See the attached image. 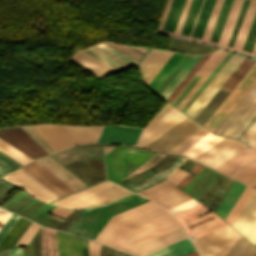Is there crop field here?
<instances>
[{
  "instance_id": "8a807250",
  "label": "crop field",
  "mask_w": 256,
  "mask_h": 256,
  "mask_svg": "<svg viewBox=\"0 0 256 256\" xmlns=\"http://www.w3.org/2000/svg\"><path fill=\"white\" fill-rule=\"evenodd\" d=\"M158 32L256 52V0H168Z\"/></svg>"
},
{
  "instance_id": "ac0d7876",
  "label": "crop field",
  "mask_w": 256,
  "mask_h": 256,
  "mask_svg": "<svg viewBox=\"0 0 256 256\" xmlns=\"http://www.w3.org/2000/svg\"><path fill=\"white\" fill-rule=\"evenodd\" d=\"M147 201L134 194L108 206L84 209L68 232L94 239L111 216Z\"/></svg>"
},
{
  "instance_id": "34b2d1b8",
  "label": "crop field",
  "mask_w": 256,
  "mask_h": 256,
  "mask_svg": "<svg viewBox=\"0 0 256 256\" xmlns=\"http://www.w3.org/2000/svg\"><path fill=\"white\" fill-rule=\"evenodd\" d=\"M54 152L74 144L96 142L104 126L34 125Z\"/></svg>"
},
{
  "instance_id": "412701ff",
  "label": "crop field",
  "mask_w": 256,
  "mask_h": 256,
  "mask_svg": "<svg viewBox=\"0 0 256 256\" xmlns=\"http://www.w3.org/2000/svg\"><path fill=\"white\" fill-rule=\"evenodd\" d=\"M130 193H132V191L110 180H105L96 185L54 201L52 204L75 209L107 204Z\"/></svg>"
},
{
  "instance_id": "f4fd0767",
  "label": "crop field",
  "mask_w": 256,
  "mask_h": 256,
  "mask_svg": "<svg viewBox=\"0 0 256 256\" xmlns=\"http://www.w3.org/2000/svg\"><path fill=\"white\" fill-rule=\"evenodd\" d=\"M181 225L169 214H165L139 226L120 233L112 247L123 250Z\"/></svg>"
},
{
  "instance_id": "dd49c442",
  "label": "crop field",
  "mask_w": 256,
  "mask_h": 256,
  "mask_svg": "<svg viewBox=\"0 0 256 256\" xmlns=\"http://www.w3.org/2000/svg\"><path fill=\"white\" fill-rule=\"evenodd\" d=\"M153 154L155 153L115 146L105 154L108 178L115 182L123 179Z\"/></svg>"
},
{
  "instance_id": "e52e79f7",
  "label": "crop field",
  "mask_w": 256,
  "mask_h": 256,
  "mask_svg": "<svg viewBox=\"0 0 256 256\" xmlns=\"http://www.w3.org/2000/svg\"><path fill=\"white\" fill-rule=\"evenodd\" d=\"M208 211L210 210L199 204L193 208H190L184 212L175 215V217L184 225L190 238L194 237L195 239L209 231H212L226 224V222L219 218L215 213H213L212 211Z\"/></svg>"
},
{
  "instance_id": "d8731c3e",
  "label": "crop field",
  "mask_w": 256,
  "mask_h": 256,
  "mask_svg": "<svg viewBox=\"0 0 256 256\" xmlns=\"http://www.w3.org/2000/svg\"><path fill=\"white\" fill-rule=\"evenodd\" d=\"M239 235L238 232L226 224L193 240V243L201 256H224Z\"/></svg>"
},
{
  "instance_id": "5a996713",
  "label": "crop field",
  "mask_w": 256,
  "mask_h": 256,
  "mask_svg": "<svg viewBox=\"0 0 256 256\" xmlns=\"http://www.w3.org/2000/svg\"><path fill=\"white\" fill-rule=\"evenodd\" d=\"M185 117L187 116L166 103L145 127L136 145L147 146Z\"/></svg>"
},
{
  "instance_id": "3316defc",
  "label": "crop field",
  "mask_w": 256,
  "mask_h": 256,
  "mask_svg": "<svg viewBox=\"0 0 256 256\" xmlns=\"http://www.w3.org/2000/svg\"><path fill=\"white\" fill-rule=\"evenodd\" d=\"M255 81L256 62L204 126L214 132L225 117L230 113V111L235 107V105L240 101V99L245 95V93L250 89V87L255 83Z\"/></svg>"
},
{
  "instance_id": "28ad6ade",
  "label": "crop field",
  "mask_w": 256,
  "mask_h": 256,
  "mask_svg": "<svg viewBox=\"0 0 256 256\" xmlns=\"http://www.w3.org/2000/svg\"><path fill=\"white\" fill-rule=\"evenodd\" d=\"M242 59L243 57L233 54L185 113L194 119Z\"/></svg>"
},
{
  "instance_id": "d1516ede",
  "label": "crop field",
  "mask_w": 256,
  "mask_h": 256,
  "mask_svg": "<svg viewBox=\"0 0 256 256\" xmlns=\"http://www.w3.org/2000/svg\"><path fill=\"white\" fill-rule=\"evenodd\" d=\"M222 138L203 127L169 152L185 154L194 159Z\"/></svg>"
},
{
  "instance_id": "22f410ed",
  "label": "crop field",
  "mask_w": 256,
  "mask_h": 256,
  "mask_svg": "<svg viewBox=\"0 0 256 256\" xmlns=\"http://www.w3.org/2000/svg\"><path fill=\"white\" fill-rule=\"evenodd\" d=\"M200 127L202 126L187 117L147 147L167 152Z\"/></svg>"
},
{
  "instance_id": "cbeb9de0",
  "label": "crop field",
  "mask_w": 256,
  "mask_h": 256,
  "mask_svg": "<svg viewBox=\"0 0 256 256\" xmlns=\"http://www.w3.org/2000/svg\"><path fill=\"white\" fill-rule=\"evenodd\" d=\"M0 138L33 159L48 155V153L20 127L0 129Z\"/></svg>"
},
{
  "instance_id": "5142ce71",
  "label": "crop field",
  "mask_w": 256,
  "mask_h": 256,
  "mask_svg": "<svg viewBox=\"0 0 256 256\" xmlns=\"http://www.w3.org/2000/svg\"><path fill=\"white\" fill-rule=\"evenodd\" d=\"M245 146L238 140L225 137L195 160L214 168Z\"/></svg>"
},
{
  "instance_id": "d9b57169",
  "label": "crop field",
  "mask_w": 256,
  "mask_h": 256,
  "mask_svg": "<svg viewBox=\"0 0 256 256\" xmlns=\"http://www.w3.org/2000/svg\"><path fill=\"white\" fill-rule=\"evenodd\" d=\"M2 179L23 188L31 196L45 202H50L58 199V197H56L53 193H51L48 189H46L43 185L37 182L21 168H18L17 170L2 177Z\"/></svg>"
},
{
  "instance_id": "733c2abd",
  "label": "crop field",
  "mask_w": 256,
  "mask_h": 256,
  "mask_svg": "<svg viewBox=\"0 0 256 256\" xmlns=\"http://www.w3.org/2000/svg\"><path fill=\"white\" fill-rule=\"evenodd\" d=\"M140 194L163 204L167 209L191 198L189 195L167 181H163L153 187H150L140 192Z\"/></svg>"
},
{
  "instance_id": "4a817a6b",
  "label": "crop field",
  "mask_w": 256,
  "mask_h": 256,
  "mask_svg": "<svg viewBox=\"0 0 256 256\" xmlns=\"http://www.w3.org/2000/svg\"><path fill=\"white\" fill-rule=\"evenodd\" d=\"M185 238H187V235L185 234L182 227H180L123 251L135 256H142Z\"/></svg>"
},
{
  "instance_id": "bc2a9ffb",
  "label": "crop field",
  "mask_w": 256,
  "mask_h": 256,
  "mask_svg": "<svg viewBox=\"0 0 256 256\" xmlns=\"http://www.w3.org/2000/svg\"><path fill=\"white\" fill-rule=\"evenodd\" d=\"M232 226L256 244V190H254Z\"/></svg>"
},
{
  "instance_id": "214f88e0",
  "label": "crop field",
  "mask_w": 256,
  "mask_h": 256,
  "mask_svg": "<svg viewBox=\"0 0 256 256\" xmlns=\"http://www.w3.org/2000/svg\"><path fill=\"white\" fill-rule=\"evenodd\" d=\"M21 168L24 169L27 173H29L32 177H34L37 181L43 184L59 198L73 192V190L67 187L64 183L54 177L51 173H49L35 161Z\"/></svg>"
},
{
  "instance_id": "92a150f3",
  "label": "crop field",
  "mask_w": 256,
  "mask_h": 256,
  "mask_svg": "<svg viewBox=\"0 0 256 256\" xmlns=\"http://www.w3.org/2000/svg\"><path fill=\"white\" fill-rule=\"evenodd\" d=\"M172 54V52L152 49L143 59V61L139 64V67L145 86L164 65V63L171 57Z\"/></svg>"
},
{
  "instance_id": "dafd665d",
  "label": "crop field",
  "mask_w": 256,
  "mask_h": 256,
  "mask_svg": "<svg viewBox=\"0 0 256 256\" xmlns=\"http://www.w3.org/2000/svg\"><path fill=\"white\" fill-rule=\"evenodd\" d=\"M158 207H160V205H158L152 201H149L140 206H137L135 208H132L130 210H127L125 212H122L118 215L111 217L110 220L107 222V224L103 227V229L96 236L95 240H97L99 242H103L104 239L107 237V235L111 232V230L114 228V226L116 224L123 222L125 220H128L130 218H133L135 216H138L140 214H143L145 212H148L150 210H153L155 208H158Z\"/></svg>"
},
{
  "instance_id": "00972430",
  "label": "crop field",
  "mask_w": 256,
  "mask_h": 256,
  "mask_svg": "<svg viewBox=\"0 0 256 256\" xmlns=\"http://www.w3.org/2000/svg\"><path fill=\"white\" fill-rule=\"evenodd\" d=\"M140 131L141 129L137 128L105 126L97 142H116L134 145Z\"/></svg>"
},
{
  "instance_id": "a9b5d70f",
  "label": "crop field",
  "mask_w": 256,
  "mask_h": 256,
  "mask_svg": "<svg viewBox=\"0 0 256 256\" xmlns=\"http://www.w3.org/2000/svg\"><path fill=\"white\" fill-rule=\"evenodd\" d=\"M35 161L42 165L53 175H55L58 179H60L74 191L87 187V185L81 182L78 178L68 172L65 168H63L49 156L36 159Z\"/></svg>"
},
{
  "instance_id": "4177f3b9",
  "label": "crop field",
  "mask_w": 256,
  "mask_h": 256,
  "mask_svg": "<svg viewBox=\"0 0 256 256\" xmlns=\"http://www.w3.org/2000/svg\"><path fill=\"white\" fill-rule=\"evenodd\" d=\"M255 97L256 83L251 87V89L246 93V95L241 99V101L236 105V107L231 111V113L226 117V119L221 123V125L216 129L214 133L225 135L226 132L245 111V109L255 99Z\"/></svg>"
},
{
  "instance_id": "730fd06b",
  "label": "crop field",
  "mask_w": 256,
  "mask_h": 256,
  "mask_svg": "<svg viewBox=\"0 0 256 256\" xmlns=\"http://www.w3.org/2000/svg\"><path fill=\"white\" fill-rule=\"evenodd\" d=\"M245 147L235 155H233L231 158L217 166L215 169L231 176L235 172H237L239 169H241L243 166L248 164L250 161H252L254 158H256V151L252 148L250 150Z\"/></svg>"
},
{
  "instance_id": "eef30255",
  "label": "crop field",
  "mask_w": 256,
  "mask_h": 256,
  "mask_svg": "<svg viewBox=\"0 0 256 256\" xmlns=\"http://www.w3.org/2000/svg\"><path fill=\"white\" fill-rule=\"evenodd\" d=\"M165 213H167V211L164 210L162 207H160L158 209H155L153 211H150L148 213H145L143 215H140L138 217H135L133 219L125 221L123 223H120L115 226V228L112 230V232L108 235V237L105 239V241L103 243L111 246V244L114 242V240L116 239V237L119 235L120 232H122L126 229H129L131 227H134L138 224H141L143 222H146L155 217H158Z\"/></svg>"
},
{
  "instance_id": "ae1a2a85",
  "label": "crop field",
  "mask_w": 256,
  "mask_h": 256,
  "mask_svg": "<svg viewBox=\"0 0 256 256\" xmlns=\"http://www.w3.org/2000/svg\"><path fill=\"white\" fill-rule=\"evenodd\" d=\"M70 61L86 67L91 72L99 76H105L117 72L116 70L112 69L111 67L107 66L106 64L100 62L99 60L93 58L92 56L79 49L74 53Z\"/></svg>"
},
{
  "instance_id": "d3111659",
  "label": "crop field",
  "mask_w": 256,
  "mask_h": 256,
  "mask_svg": "<svg viewBox=\"0 0 256 256\" xmlns=\"http://www.w3.org/2000/svg\"><path fill=\"white\" fill-rule=\"evenodd\" d=\"M58 231V230H57ZM57 245L59 256H72L71 252V235L57 232ZM72 251L73 256L82 255V237H78L72 234Z\"/></svg>"
},
{
  "instance_id": "750c4746",
  "label": "crop field",
  "mask_w": 256,
  "mask_h": 256,
  "mask_svg": "<svg viewBox=\"0 0 256 256\" xmlns=\"http://www.w3.org/2000/svg\"><path fill=\"white\" fill-rule=\"evenodd\" d=\"M244 188L245 185L234 181L215 212L225 219Z\"/></svg>"
},
{
  "instance_id": "bd1437ed",
  "label": "crop field",
  "mask_w": 256,
  "mask_h": 256,
  "mask_svg": "<svg viewBox=\"0 0 256 256\" xmlns=\"http://www.w3.org/2000/svg\"><path fill=\"white\" fill-rule=\"evenodd\" d=\"M194 251L189 238L147 254L145 256H182Z\"/></svg>"
},
{
  "instance_id": "1d83c4d3",
  "label": "crop field",
  "mask_w": 256,
  "mask_h": 256,
  "mask_svg": "<svg viewBox=\"0 0 256 256\" xmlns=\"http://www.w3.org/2000/svg\"><path fill=\"white\" fill-rule=\"evenodd\" d=\"M255 116L256 99L251 103V105L246 109V111L242 114V116L237 120V122L232 126L226 135L238 138Z\"/></svg>"
},
{
  "instance_id": "120bbe31",
  "label": "crop field",
  "mask_w": 256,
  "mask_h": 256,
  "mask_svg": "<svg viewBox=\"0 0 256 256\" xmlns=\"http://www.w3.org/2000/svg\"><path fill=\"white\" fill-rule=\"evenodd\" d=\"M29 224L30 221L20 217V219L0 244V252L14 246Z\"/></svg>"
},
{
  "instance_id": "d32e631a",
  "label": "crop field",
  "mask_w": 256,
  "mask_h": 256,
  "mask_svg": "<svg viewBox=\"0 0 256 256\" xmlns=\"http://www.w3.org/2000/svg\"><path fill=\"white\" fill-rule=\"evenodd\" d=\"M225 256H256V247L240 235Z\"/></svg>"
},
{
  "instance_id": "5866460e",
  "label": "crop field",
  "mask_w": 256,
  "mask_h": 256,
  "mask_svg": "<svg viewBox=\"0 0 256 256\" xmlns=\"http://www.w3.org/2000/svg\"><path fill=\"white\" fill-rule=\"evenodd\" d=\"M183 54L174 53L172 57L167 61V63L161 68V70L155 75V77L147 85L153 92L154 89L159 85L163 78L168 74V72L173 68L177 61L182 57Z\"/></svg>"
},
{
  "instance_id": "028f5c9d",
  "label": "crop field",
  "mask_w": 256,
  "mask_h": 256,
  "mask_svg": "<svg viewBox=\"0 0 256 256\" xmlns=\"http://www.w3.org/2000/svg\"><path fill=\"white\" fill-rule=\"evenodd\" d=\"M254 61L244 58L239 66L235 69L232 75L224 83L223 87L230 90L238 83V81L243 77V75L248 71V69L253 65Z\"/></svg>"
},
{
  "instance_id": "e1f06a70",
  "label": "crop field",
  "mask_w": 256,
  "mask_h": 256,
  "mask_svg": "<svg viewBox=\"0 0 256 256\" xmlns=\"http://www.w3.org/2000/svg\"><path fill=\"white\" fill-rule=\"evenodd\" d=\"M227 52L223 51L221 55L216 59V61L211 65V67L206 71V73L197 81V83L191 88V90L185 95V97L176 106L180 110L187 103V101L192 97V95L197 91V89L202 85L206 78L211 74V72L216 68V66L221 62V60L226 56Z\"/></svg>"
},
{
  "instance_id": "0bd39190",
  "label": "crop field",
  "mask_w": 256,
  "mask_h": 256,
  "mask_svg": "<svg viewBox=\"0 0 256 256\" xmlns=\"http://www.w3.org/2000/svg\"><path fill=\"white\" fill-rule=\"evenodd\" d=\"M82 50L118 71L129 68L128 66L124 65L123 63L115 60L114 58L108 56L107 54L99 51L98 49H96L92 46H90L86 49H82Z\"/></svg>"
},
{
  "instance_id": "b80d0937",
  "label": "crop field",
  "mask_w": 256,
  "mask_h": 256,
  "mask_svg": "<svg viewBox=\"0 0 256 256\" xmlns=\"http://www.w3.org/2000/svg\"><path fill=\"white\" fill-rule=\"evenodd\" d=\"M93 46L101 49L102 51L112 55L113 57L121 60L122 62H124L130 66H134L140 62L104 42H99Z\"/></svg>"
},
{
  "instance_id": "c035e120",
  "label": "crop field",
  "mask_w": 256,
  "mask_h": 256,
  "mask_svg": "<svg viewBox=\"0 0 256 256\" xmlns=\"http://www.w3.org/2000/svg\"><path fill=\"white\" fill-rule=\"evenodd\" d=\"M200 58V56L193 55L192 58L187 62V64L183 67V69L179 72V74L174 78V80L170 83V85L166 88V90L161 94L160 98L166 100L167 97L171 94V92L175 89V87L179 84V82L183 79V77L188 73V71L192 68V66L196 63V61Z\"/></svg>"
},
{
  "instance_id": "c21b1889",
  "label": "crop field",
  "mask_w": 256,
  "mask_h": 256,
  "mask_svg": "<svg viewBox=\"0 0 256 256\" xmlns=\"http://www.w3.org/2000/svg\"><path fill=\"white\" fill-rule=\"evenodd\" d=\"M212 53L203 55L202 58L197 62V64L192 68V70L187 74L183 81L178 85V87L173 91V93L168 97L167 101L173 102L177 95L182 91L198 69L203 65V63L210 57Z\"/></svg>"
},
{
  "instance_id": "03da06ac",
  "label": "crop field",
  "mask_w": 256,
  "mask_h": 256,
  "mask_svg": "<svg viewBox=\"0 0 256 256\" xmlns=\"http://www.w3.org/2000/svg\"><path fill=\"white\" fill-rule=\"evenodd\" d=\"M252 192H253V189L246 186V188L242 192L241 196L239 197V199L237 200V202L235 203V205L233 206L230 213L228 214V216L225 219L229 224L232 225L235 218L241 211L242 207L244 206V204L246 203V201L248 200V198L250 197Z\"/></svg>"
},
{
  "instance_id": "b54c1fbb",
  "label": "crop field",
  "mask_w": 256,
  "mask_h": 256,
  "mask_svg": "<svg viewBox=\"0 0 256 256\" xmlns=\"http://www.w3.org/2000/svg\"><path fill=\"white\" fill-rule=\"evenodd\" d=\"M108 43V42H106ZM117 49L127 53L128 55L138 59L142 60V58L146 55V53L149 51L150 48L148 47H140V46H132V45H124V44H116V43H108Z\"/></svg>"
},
{
  "instance_id": "5d738f31",
  "label": "crop field",
  "mask_w": 256,
  "mask_h": 256,
  "mask_svg": "<svg viewBox=\"0 0 256 256\" xmlns=\"http://www.w3.org/2000/svg\"><path fill=\"white\" fill-rule=\"evenodd\" d=\"M0 150L14 158L15 160L19 161L20 163L24 164L30 160H32L30 157L26 156L19 150L15 149L11 145L7 144L3 140L0 139Z\"/></svg>"
},
{
  "instance_id": "d23c7cc5",
  "label": "crop field",
  "mask_w": 256,
  "mask_h": 256,
  "mask_svg": "<svg viewBox=\"0 0 256 256\" xmlns=\"http://www.w3.org/2000/svg\"><path fill=\"white\" fill-rule=\"evenodd\" d=\"M20 165L22 164L0 151V176Z\"/></svg>"
},
{
  "instance_id": "425ffa30",
  "label": "crop field",
  "mask_w": 256,
  "mask_h": 256,
  "mask_svg": "<svg viewBox=\"0 0 256 256\" xmlns=\"http://www.w3.org/2000/svg\"><path fill=\"white\" fill-rule=\"evenodd\" d=\"M26 133H28L41 147H43L49 154L54 153L48 146L45 140L37 132L33 125L21 127Z\"/></svg>"
},
{
  "instance_id": "25e5ab78",
  "label": "crop field",
  "mask_w": 256,
  "mask_h": 256,
  "mask_svg": "<svg viewBox=\"0 0 256 256\" xmlns=\"http://www.w3.org/2000/svg\"><path fill=\"white\" fill-rule=\"evenodd\" d=\"M239 139L256 149V122L253 121Z\"/></svg>"
},
{
  "instance_id": "73cf0c24",
  "label": "crop field",
  "mask_w": 256,
  "mask_h": 256,
  "mask_svg": "<svg viewBox=\"0 0 256 256\" xmlns=\"http://www.w3.org/2000/svg\"><path fill=\"white\" fill-rule=\"evenodd\" d=\"M254 174H256V160L253 161L251 164H249L248 166H246L244 169H242L241 171H239L238 173H236L234 176H232L233 178L244 182L246 181L248 178H250L251 176H253Z\"/></svg>"
},
{
  "instance_id": "89e229c0",
  "label": "crop field",
  "mask_w": 256,
  "mask_h": 256,
  "mask_svg": "<svg viewBox=\"0 0 256 256\" xmlns=\"http://www.w3.org/2000/svg\"><path fill=\"white\" fill-rule=\"evenodd\" d=\"M40 226L34 224L31 222V224L28 226L26 231L23 233V235L20 237L18 242L15 245L21 244H27L28 241L32 238V236L35 234V232L38 230Z\"/></svg>"
},
{
  "instance_id": "1f2cbd36",
  "label": "crop field",
  "mask_w": 256,
  "mask_h": 256,
  "mask_svg": "<svg viewBox=\"0 0 256 256\" xmlns=\"http://www.w3.org/2000/svg\"><path fill=\"white\" fill-rule=\"evenodd\" d=\"M18 218H19V216L12 213V215L9 217V219L6 221V223L0 229V242L3 240V238L9 232V230L12 228V226L15 224V222L18 220Z\"/></svg>"
},
{
  "instance_id": "dbb93151",
  "label": "crop field",
  "mask_w": 256,
  "mask_h": 256,
  "mask_svg": "<svg viewBox=\"0 0 256 256\" xmlns=\"http://www.w3.org/2000/svg\"><path fill=\"white\" fill-rule=\"evenodd\" d=\"M197 204H199V203H198L196 200H194V199L192 198V199H190V200H187V201H185V202H183V203H181V204H179V205H177V206H175V207L169 209V211H170L173 215H175V214H177V213H179V212H181V211H184V210H186V209H188V208H190V207H193V206H195V205H197Z\"/></svg>"
},
{
  "instance_id": "0fb4a251",
  "label": "crop field",
  "mask_w": 256,
  "mask_h": 256,
  "mask_svg": "<svg viewBox=\"0 0 256 256\" xmlns=\"http://www.w3.org/2000/svg\"><path fill=\"white\" fill-rule=\"evenodd\" d=\"M187 174L177 168L167 179L177 186Z\"/></svg>"
},
{
  "instance_id": "1d79db26",
  "label": "crop field",
  "mask_w": 256,
  "mask_h": 256,
  "mask_svg": "<svg viewBox=\"0 0 256 256\" xmlns=\"http://www.w3.org/2000/svg\"><path fill=\"white\" fill-rule=\"evenodd\" d=\"M100 243H96L88 240V255L89 256H99L100 254Z\"/></svg>"
},
{
  "instance_id": "9d1cf04e",
  "label": "crop field",
  "mask_w": 256,
  "mask_h": 256,
  "mask_svg": "<svg viewBox=\"0 0 256 256\" xmlns=\"http://www.w3.org/2000/svg\"><path fill=\"white\" fill-rule=\"evenodd\" d=\"M222 52V50L216 51L212 54V56L205 62V64L200 68V70L198 71V74H203L208 67L214 62V60L220 55V53Z\"/></svg>"
},
{
  "instance_id": "447ae74e",
  "label": "crop field",
  "mask_w": 256,
  "mask_h": 256,
  "mask_svg": "<svg viewBox=\"0 0 256 256\" xmlns=\"http://www.w3.org/2000/svg\"><path fill=\"white\" fill-rule=\"evenodd\" d=\"M70 212L71 210L56 207L53 210H51L49 213L65 218Z\"/></svg>"
},
{
  "instance_id": "0765c3eb",
  "label": "crop field",
  "mask_w": 256,
  "mask_h": 256,
  "mask_svg": "<svg viewBox=\"0 0 256 256\" xmlns=\"http://www.w3.org/2000/svg\"><path fill=\"white\" fill-rule=\"evenodd\" d=\"M10 214L11 212L0 208V228L4 224V222L7 220V218L10 216Z\"/></svg>"
},
{
  "instance_id": "db79e9e6",
  "label": "crop field",
  "mask_w": 256,
  "mask_h": 256,
  "mask_svg": "<svg viewBox=\"0 0 256 256\" xmlns=\"http://www.w3.org/2000/svg\"><path fill=\"white\" fill-rule=\"evenodd\" d=\"M9 256H22L21 247H15L8 251Z\"/></svg>"
},
{
  "instance_id": "7b73153f",
  "label": "crop field",
  "mask_w": 256,
  "mask_h": 256,
  "mask_svg": "<svg viewBox=\"0 0 256 256\" xmlns=\"http://www.w3.org/2000/svg\"><path fill=\"white\" fill-rule=\"evenodd\" d=\"M250 186L254 185L256 183V175H254L253 177H251L249 180H247L246 182H244Z\"/></svg>"
},
{
  "instance_id": "78b8030e",
  "label": "crop field",
  "mask_w": 256,
  "mask_h": 256,
  "mask_svg": "<svg viewBox=\"0 0 256 256\" xmlns=\"http://www.w3.org/2000/svg\"><path fill=\"white\" fill-rule=\"evenodd\" d=\"M116 256H130V255H127V254H125V253L120 252V251L117 250Z\"/></svg>"
},
{
  "instance_id": "0f1d7ab4",
  "label": "crop field",
  "mask_w": 256,
  "mask_h": 256,
  "mask_svg": "<svg viewBox=\"0 0 256 256\" xmlns=\"http://www.w3.org/2000/svg\"><path fill=\"white\" fill-rule=\"evenodd\" d=\"M185 256H198V254L196 253V251H194V252H192V253H190V254H187V255H185Z\"/></svg>"
},
{
  "instance_id": "e1d0b9f6",
  "label": "crop field",
  "mask_w": 256,
  "mask_h": 256,
  "mask_svg": "<svg viewBox=\"0 0 256 256\" xmlns=\"http://www.w3.org/2000/svg\"><path fill=\"white\" fill-rule=\"evenodd\" d=\"M83 246H87V240L83 238Z\"/></svg>"
},
{
  "instance_id": "ae633e8c",
  "label": "crop field",
  "mask_w": 256,
  "mask_h": 256,
  "mask_svg": "<svg viewBox=\"0 0 256 256\" xmlns=\"http://www.w3.org/2000/svg\"><path fill=\"white\" fill-rule=\"evenodd\" d=\"M253 187H255V188H256V184H255Z\"/></svg>"
},
{
  "instance_id": "d14b1444",
  "label": "crop field",
  "mask_w": 256,
  "mask_h": 256,
  "mask_svg": "<svg viewBox=\"0 0 256 256\" xmlns=\"http://www.w3.org/2000/svg\"><path fill=\"white\" fill-rule=\"evenodd\" d=\"M254 121H256V119Z\"/></svg>"
}]
</instances>
